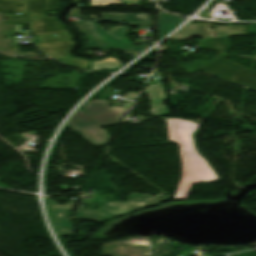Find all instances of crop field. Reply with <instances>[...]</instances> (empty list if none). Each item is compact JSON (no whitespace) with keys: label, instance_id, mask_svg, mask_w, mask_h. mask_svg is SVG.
<instances>
[{"label":"crop field","instance_id":"8a807250","mask_svg":"<svg viewBox=\"0 0 256 256\" xmlns=\"http://www.w3.org/2000/svg\"><path fill=\"white\" fill-rule=\"evenodd\" d=\"M170 141L180 145L183 174L175 199H186L191 184L219 181V177L197 151L193 135L199 128L190 121L167 119Z\"/></svg>","mask_w":256,"mask_h":256},{"label":"crop field","instance_id":"ac0d7876","mask_svg":"<svg viewBox=\"0 0 256 256\" xmlns=\"http://www.w3.org/2000/svg\"><path fill=\"white\" fill-rule=\"evenodd\" d=\"M130 103L126 101L121 107L108 108L107 100L88 101L66 126L73 131H80L94 146L107 144L111 137L100 127L120 124Z\"/></svg>","mask_w":256,"mask_h":256},{"label":"crop field","instance_id":"34b2d1b8","mask_svg":"<svg viewBox=\"0 0 256 256\" xmlns=\"http://www.w3.org/2000/svg\"><path fill=\"white\" fill-rule=\"evenodd\" d=\"M231 47L228 37L204 39L199 41L198 48L217 50L220 53L210 61L196 60L182 69L190 73L203 69L204 73L234 82L256 90V72L225 60L229 55L223 54Z\"/></svg>","mask_w":256,"mask_h":256},{"label":"crop field","instance_id":"412701ff","mask_svg":"<svg viewBox=\"0 0 256 256\" xmlns=\"http://www.w3.org/2000/svg\"><path fill=\"white\" fill-rule=\"evenodd\" d=\"M128 198L129 200L125 202L101 203L100 208H98L100 210L99 212L94 209L84 210V205H87V202L82 200L76 211L74 219H86L101 223L111 217L125 214L144 207L158 205L170 199L161 193L154 197L147 194L141 195L139 193H131L128 195Z\"/></svg>","mask_w":256,"mask_h":256},{"label":"crop field","instance_id":"f4fd0767","mask_svg":"<svg viewBox=\"0 0 256 256\" xmlns=\"http://www.w3.org/2000/svg\"><path fill=\"white\" fill-rule=\"evenodd\" d=\"M78 28L86 36L88 44L85 49H105V48H120L135 55L148 45L134 46L130 38H126L124 31L125 26H117L109 28L107 33L95 21H75Z\"/></svg>","mask_w":256,"mask_h":256},{"label":"crop field","instance_id":"dd49c442","mask_svg":"<svg viewBox=\"0 0 256 256\" xmlns=\"http://www.w3.org/2000/svg\"><path fill=\"white\" fill-rule=\"evenodd\" d=\"M33 34L38 35L41 43L37 47L45 54L55 58H66L70 51L73 41L65 27L58 23L54 16H44L30 23ZM47 32V34H43ZM52 34H59L53 37Z\"/></svg>","mask_w":256,"mask_h":256},{"label":"crop field","instance_id":"e52e79f7","mask_svg":"<svg viewBox=\"0 0 256 256\" xmlns=\"http://www.w3.org/2000/svg\"><path fill=\"white\" fill-rule=\"evenodd\" d=\"M210 26H214L216 37L247 34L245 26H218L215 24L190 23L168 40L190 39L192 36L214 38Z\"/></svg>","mask_w":256,"mask_h":256},{"label":"crop field","instance_id":"d8731c3e","mask_svg":"<svg viewBox=\"0 0 256 256\" xmlns=\"http://www.w3.org/2000/svg\"><path fill=\"white\" fill-rule=\"evenodd\" d=\"M59 7L60 0H0V11L28 12V22L42 16L43 11L59 10Z\"/></svg>","mask_w":256,"mask_h":256},{"label":"crop field","instance_id":"5a996713","mask_svg":"<svg viewBox=\"0 0 256 256\" xmlns=\"http://www.w3.org/2000/svg\"><path fill=\"white\" fill-rule=\"evenodd\" d=\"M76 201L77 200L75 199H71L62 207L56 202H50L49 197H46L49 217L52 221L55 231L59 236L72 234L73 228L69 220Z\"/></svg>","mask_w":256,"mask_h":256},{"label":"crop field","instance_id":"3316defc","mask_svg":"<svg viewBox=\"0 0 256 256\" xmlns=\"http://www.w3.org/2000/svg\"><path fill=\"white\" fill-rule=\"evenodd\" d=\"M69 17L94 18L96 20L129 21L132 26L152 27V19L149 14H124V13H102V19L96 16H80V9H73Z\"/></svg>","mask_w":256,"mask_h":256},{"label":"crop field","instance_id":"28ad6ade","mask_svg":"<svg viewBox=\"0 0 256 256\" xmlns=\"http://www.w3.org/2000/svg\"><path fill=\"white\" fill-rule=\"evenodd\" d=\"M143 93H148L152 105L151 112L154 117L171 116L168 109L164 107L165 96L161 85L146 86Z\"/></svg>","mask_w":256,"mask_h":256},{"label":"crop field","instance_id":"d1516ede","mask_svg":"<svg viewBox=\"0 0 256 256\" xmlns=\"http://www.w3.org/2000/svg\"><path fill=\"white\" fill-rule=\"evenodd\" d=\"M186 18L171 16L158 11L157 17V31L158 38H161L166 33H168L171 29L177 26L180 22H182Z\"/></svg>","mask_w":256,"mask_h":256},{"label":"crop field","instance_id":"22f410ed","mask_svg":"<svg viewBox=\"0 0 256 256\" xmlns=\"http://www.w3.org/2000/svg\"><path fill=\"white\" fill-rule=\"evenodd\" d=\"M116 67H121L120 63L117 60L110 57L109 59L102 60V61H93L91 70L116 68Z\"/></svg>","mask_w":256,"mask_h":256},{"label":"crop field","instance_id":"cbeb9de0","mask_svg":"<svg viewBox=\"0 0 256 256\" xmlns=\"http://www.w3.org/2000/svg\"><path fill=\"white\" fill-rule=\"evenodd\" d=\"M8 21L4 22L5 24H27V13H21L22 15H17L13 13L10 15L8 12H5Z\"/></svg>","mask_w":256,"mask_h":256},{"label":"crop field","instance_id":"5142ce71","mask_svg":"<svg viewBox=\"0 0 256 256\" xmlns=\"http://www.w3.org/2000/svg\"><path fill=\"white\" fill-rule=\"evenodd\" d=\"M61 62L65 63V64H67L69 66L78 67V68L85 69V70H87L88 65L90 63L88 61H84V60H80V59H75V58L61 60Z\"/></svg>","mask_w":256,"mask_h":256},{"label":"crop field","instance_id":"d9b57169","mask_svg":"<svg viewBox=\"0 0 256 256\" xmlns=\"http://www.w3.org/2000/svg\"><path fill=\"white\" fill-rule=\"evenodd\" d=\"M137 93H128L126 95H124V98L130 99V100H134L135 96Z\"/></svg>","mask_w":256,"mask_h":256}]
</instances>
